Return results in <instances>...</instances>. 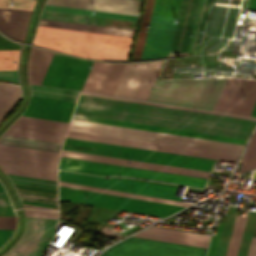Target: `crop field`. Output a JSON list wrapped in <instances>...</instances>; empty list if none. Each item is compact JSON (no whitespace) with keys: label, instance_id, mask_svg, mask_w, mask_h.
Instances as JSON below:
<instances>
[{"label":"crop field","instance_id":"25e5ab78","mask_svg":"<svg viewBox=\"0 0 256 256\" xmlns=\"http://www.w3.org/2000/svg\"><path fill=\"white\" fill-rule=\"evenodd\" d=\"M251 9H255L256 10V0H253V4H252V8Z\"/></svg>","mask_w":256,"mask_h":256},{"label":"crop field","instance_id":"412701ff","mask_svg":"<svg viewBox=\"0 0 256 256\" xmlns=\"http://www.w3.org/2000/svg\"><path fill=\"white\" fill-rule=\"evenodd\" d=\"M72 147L91 148L95 150ZM62 149L210 171L215 160L66 138Z\"/></svg>","mask_w":256,"mask_h":256},{"label":"crop field","instance_id":"bd1437ed","mask_svg":"<svg viewBox=\"0 0 256 256\" xmlns=\"http://www.w3.org/2000/svg\"><path fill=\"white\" fill-rule=\"evenodd\" d=\"M20 50H0V70H17ZM16 61V63H12Z\"/></svg>","mask_w":256,"mask_h":256},{"label":"crop field","instance_id":"d8731c3e","mask_svg":"<svg viewBox=\"0 0 256 256\" xmlns=\"http://www.w3.org/2000/svg\"><path fill=\"white\" fill-rule=\"evenodd\" d=\"M206 249L131 236L100 256H204Z\"/></svg>","mask_w":256,"mask_h":256},{"label":"crop field","instance_id":"8a807250","mask_svg":"<svg viewBox=\"0 0 256 256\" xmlns=\"http://www.w3.org/2000/svg\"><path fill=\"white\" fill-rule=\"evenodd\" d=\"M74 113L244 139L256 123L254 120L84 95L80 96Z\"/></svg>","mask_w":256,"mask_h":256},{"label":"crop field","instance_id":"730fd06b","mask_svg":"<svg viewBox=\"0 0 256 256\" xmlns=\"http://www.w3.org/2000/svg\"><path fill=\"white\" fill-rule=\"evenodd\" d=\"M153 3H154V0L146 1V5H145V9H144V13H143V17H142V21H141V25H140V29H139V33H138V37H137V41H136L132 59H140V57H141V53H142V49H143V45H144V41H145V37H146V33H147L146 28L149 23Z\"/></svg>","mask_w":256,"mask_h":256},{"label":"crop field","instance_id":"d9b57169","mask_svg":"<svg viewBox=\"0 0 256 256\" xmlns=\"http://www.w3.org/2000/svg\"><path fill=\"white\" fill-rule=\"evenodd\" d=\"M141 0H48L46 4L137 15Z\"/></svg>","mask_w":256,"mask_h":256},{"label":"crop field","instance_id":"3316defc","mask_svg":"<svg viewBox=\"0 0 256 256\" xmlns=\"http://www.w3.org/2000/svg\"><path fill=\"white\" fill-rule=\"evenodd\" d=\"M162 62L127 64L113 95L146 100Z\"/></svg>","mask_w":256,"mask_h":256},{"label":"crop field","instance_id":"ae1a2a85","mask_svg":"<svg viewBox=\"0 0 256 256\" xmlns=\"http://www.w3.org/2000/svg\"><path fill=\"white\" fill-rule=\"evenodd\" d=\"M44 9L135 21L137 16L46 5ZM96 12V14H93Z\"/></svg>","mask_w":256,"mask_h":256},{"label":"crop field","instance_id":"c21b1889","mask_svg":"<svg viewBox=\"0 0 256 256\" xmlns=\"http://www.w3.org/2000/svg\"><path fill=\"white\" fill-rule=\"evenodd\" d=\"M0 49H20V45L9 42L2 36H0Z\"/></svg>","mask_w":256,"mask_h":256},{"label":"crop field","instance_id":"750c4746","mask_svg":"<svg viewBox=\"0 0 256 256\" xmlns=\"http://www.w3.org/2000/svg\"><path fill=\"white\" fill-rule=\"evenodd\" d=\"M247 212L245 216H238V215L236 216V220H235V224L232 231L226 256H236L237 254Z\"/></svg>","mask_w":256,"mask_h":256},{"label":"crop field","instance_id":"d3111659","mask_svg":"<svg viewBox=\"0 0 256 256\" xmlns=\"http://www.w3.org/2000/svg\"><path fill=\"white\" fill-rule=\"evenodd\" d=\"M255 221H256V212L249 211L237 256H247Z\"/></svg>","mask_w":256,"mask_h":256},{"label":"crop field","instance_id":"1d83c4d3","mask_svg":"<svg viewBox=\"0 0 256 256\" xmlns=\"http://www.w3.org/2000/svg\"><path fill=\"white\" fill-rule=\"evenodd\" d=\"M11 182L57 189V182L5 174Z\"/></svg>","mask_w":256,"mask_h":256},{"label":"crop field","instance_id":"73cf0c24","mask_svg":"<svg viewBox=\"0 0 256 256\" xmlns=\"http://www.w3.org/2000/svg\"><path fill=\"white\" fill-rule=\"evenodd\" d=\"M123 222L131 223V224H135L136 223V222L126 221V220H123Z\"/></svg>","mask_w":256,"mask_h":256},{"label":"crop field","instance_id":"89e229c0","mask_svg":"<svg viewBox=\"0 0 256 256\" xmlns=\"http://www.w3.org/2000/svg\"><path fill=\"white\" fill-rule=\"evenodd\" d=\"M0 191H4L1 185H0Z\"/></svg>","mask_w":256,"mask_h":256},{"label":"crop field","instance_id":"28ad6ade","mask_svg":"<svg viewBox=\"0 0 256 256\" xmlns=\"http://www.w3.org/2000/svg\"><path fill=\"white\" fill-rule=\"evenodd\" d=\"M92 63L55 53L41 84L80 90Z\"/></svg>","mask_w":256,"mask_h":256},{"label":"crop field","instance_id":"bc2a9ffb","mask_svg":"<svg viewBox=\"0 0 256 256\" xmlns=\"http://www.w3.org/2000/svg\"><path fill=\"white\" fill-rule=\"evenodd\" d=\"M72 118L245 144L246 140L74 114Z\"/></svg>","mask_w":256,"mask_h":256},{"label":"crop field","instance_id":"eef30255","mask_svg":"<svg viewBox=\"0 0 256 256\" xmlns=\"http://www.w3.org/2000/svg\"><path fill=\"white\" fill-rule=\"evenodd\" d=\"M236 209L237 208L233 206H229L228 208V212H227V216L224 223V227H223V231L220 238L216 256H225L231 231H232V227L234 224L235 216H236Z\"/></svg>","mask_w":256,"mask_h":256},{"label":"crop field","instance_id":"c035e120","mask_svg":"<svg viewBox=\"0 0 256 256\" xmlns=\"http://www.w3.org/2000/svg\"><path fill=\"white\" fill-rule=\"evenodd\" d=\"M62 151H65V150H62ZM65 152H72V151H65ZM72 153H78V152H72ZM78 154H85V153H78ZM85 155H92V154H85ZM92 156L105 157V158H112V157L99 156V155H92ZM112 159H119V158H112ZM119 160L132 161V162H139V161H133V160H126V159H119ZM139 163L152 164V165H160V164H153V163H146V162H139ZM160 166H166V165H160ZM166 167H173V166H166ZM173 168H180V167H173ZM180 169L193 170V171H200V170L187 169V168H180ZM200 172L209 173V172H207V171H200Z\"/></svg>","mask_w":256,"mask_h":256},{"label":"crop field","instance_id":"120bbe31","mask_svg":"<svg viewBox=\"0 0 256 256\" xmlns=\"http://www.w3.org/2000/svg\"><path fill=\"white\" fill-rule=\"evenodd\" d=\"M37 0H0V7L32 11ZM13 2L14 5H10Z\"/></svg>","mask_w":256,"mask_h":256},{"label":"crop field","instance_id":"214f88e0","mask_svg":"<svg viewBox=\"0 0 256 256\" xmlns=\"http://www.w3.org/2000/svg\"><path fill=\"white\" fill-rule=\"evenodd\" d=\"M0 8V30L18 40L23 41L31 12L11 10L8 24L4 20Z\"/></svg>","mask_w":256,"mask_h":256},{"label":"crop field","instance_id":"4177f3b9","mask_svg":"<svg viewBox=\"0 0 256 256\" xmlns=\"http://www.w3.org/2000/svg\"><path fill=\"white\" fill-rule=\"evenodd\" d=\"M31 94L67 101H77L79 92L30 85Z\"/></svg>","mask_w":256,"mask_h":256},{"label":"crop field","instance_id":"0bd39190","mask_svg":"<svg viewBox=\"0 0 256 256\" xmlns=\"http://www.w3.org/2000/svg\"><path fill=\"white\" fill-rule=\"evenodd\" d=\"M203 3H204V0H200V4H199L197 16H196V21H195V25H194V29H193V33H192V37H191V41H190V45H189V49H188L187 54H191V52H192V48H193V44H194V40H195V36H196V32H197L199 20H200V16H201V12H202Z\"/></svg>","mask_w":256,"mask_h":256},{"label":"crop field","instance_id":"5866460e","mask_svg":"<svg viewBox=\"0 0 256 256\" xmlns=\"http://www.w3.org/2000/svg\"><path fill=\"white\" fill-rule=\"evenodd\" d=\"M26 216L57 219V212L44 210H24Z\"/></svg>","mask_w":256,"mask_h":256},{"label":"crop field","instance_id":"a9b5d70f","mask_svg":"<svg viewBox=\"0 0 256 256\" xmlns=\"http://www.w3.org/2000/svg\"><path fill=\"white\" fill-rule=\"evenodd\" d=\"M59 185H61V186H67V187H73V188H79V189H85V190H91V191H96V192H102V193H108V194H114V195H120V196H125V197H131V198H137V199L155 201V202H160V203H166V204L184 206V207H187V206L191 205L190 203H185V202H177V201L159 199V198L148 197V196H142V195H136V194H135L136 196H133L134 194H131V193H125V192L107 190V189H102V188L84 186V185L73 184V183H67V182H61V181H59Z\"/></svg>","mask_w":256,"mask_h":256},{"label":"crop field","instance_id":"5142ce71","mask_svg":"<svg viewBox=\"0 0 256 256\" xmlns=\"http://www.w3.org/2000/svg\"><path fill=\"white\" fill-rule=\"evenodd\" d=\"M76 103L41 97H31L25 116L69 122Z\"/></svg>","mask_w":256,"mask_h":256},{"label":"crop field","instance_id":"03da06ac","mask_svg":"<svg viewBox=\"0 0 256 256\" xmlns=\"http://www.w3.org/2000/svg\"><path fill=\"white\" fill-rule=\"evenodd\" d=\"M0 78H6L18 82L17 71H0Z\"/></svg>","mask_w":256,"mask_h":256},{"label":"crop field","instance_id":"34b2d1b8","mask_svg":"<svg viewBox=\"0 0 256 256\" xmlns=\"http://www.w3.org/2000/svg\"><path fill=\"white\" fill-rule=\"evenodd\" d=\"M226 79H156L147 100L212 110Z\"/></svg>","mask_w":256,"mask_h":256},{"label":"crop field","instance_id":"92a150f3","mask_svg":"<svg viewBox=\"0 0 256 256\" xmlns=\"http://www.w3.org/2000/svg\"><path fill=\"white\" fill-rule=\"evenodd\" d=\"M243 96L245 99L242 98ZM255 102L256 80L244 79L229 112L249 116Z\"/></svg>","mask_w":256,"mask_h":256},{"label":"crop field","instance_id":"00972430","mask_svg":"<svg viewBox=\"0 0 256 256\" xmlns=\"http://www.w3.org/2000/svg\"><path fill=\"white\" fill-rule=\"evenodd\" d=\"M41 18L60 20V21H68V22H76V23H84V24H92V25H100V26L104 25L105 19H106V18H101V17H93V16L70 14V13L47 11V10L43 11ZM85 19H88V20L86 21Z\"/></svg>","mask_w":256,"mask_h":256},{"label":"crop field","instance_id":"d23c7cc5","mask_svg":"<svg viewBox=\"0 0 256 256\" xmlns=\"http://www.w3.org/2000/svg\"><path fill=\"white\" fill-rule=\"evenodd\" d=\"M211 174L220 175V176H226V177H229V176H230V175H227V174H221V173H215V172H212Z\"/></svg>","mask_w":256,"mask_h":256},{"label":"crop field","instance_id":"b54c1fbb","mask_svg":"<svg viewBox=\"0 0 256 256\" xmlns=\"http://www.w3.org/2000/svg\"><path fill=\"white\" fill-rule=\"evenodd\" d=\"M12 232H13V230H2V229H0V247L10 237Z\"/></svg>","mask_w":256,"mask_h":256},{"label":"crop field","instance_id":"f4fd0767","mask_svg":"<svg viewBox=\"0 0 256 256\" xmlns=\"http://www.w3.org/2000/svg\"><path fill=\"white\" fill-rule=\"evenodd\" d=\"M59 194L60 199L63 200L160 217L184 208L61 186H59ZM86 196L88 198H85Z\"/></svg>","mask_w":256,"mask_h":256},{"label":"crop field","instance_id":"b80d0937","mask_svg":"<svg viewBox=\"0 0 256 256\" xmlns=\"http://www.w3.org/2000/svg\"><path fill=\"white\" fill-rule=\"evenodd\" d=\"M15 217H0V228L14 229Z\"/></svg>","mask_w":256,"mask_h":256},{"label":"crop field","instance_id":"e52e79f7","mask_svg":"<svg viewBox=\"0 0 256 256\" xmlns=\"http://www.w3.org/2000/svg\"><path fill=\"white\" fill-rule=\"evenodd\" d=\"M59 169L79 171L97 175H127L137 176L184 185L203 188L206 180L191 176L177 175L171 173L157 172L151 170L137 169L131 167L117 166L111 164L97 163L91 161L77 160L61 157Z\"/></svg>","mask_w":256,"mask_h":256},{"label":"crop field","instance_id":"d1516ede","mask_svg":"<svg viewBox=\"0 0 256 256\" xmlns=\"http://www.w3.org/2000/svg\"><path fill=\"white\" fill-rule=\"evenodd\" d=\"M56 222L52 219L26 217L23 236L3 256H41L49 241L53 240Z\"/></svg>","mask_w":256,"mask_h":256},{"label":"crop field","instance_id":"5a996713","mask_svg":"<svg viewBox=\"0 0 256 256\" xmlns=\"http://www.w3.org/2000/svg\"><path fill=\"white\" fill-rule=\"evenodd\" d=\"M119 179L120 178L103 179V177H94L78 173L59 171V180L61 181L97 186L173 200H180L179 197L173 196L177 189V187L175 186L127 179H121L120 181Z\"/></svg>","mask_w":256,"mask_h":256},{"label":"crop field","instance_id":"22f410ed","mask_svg":"<svg viewBox=\"0 0 256 256\" xmlns=\"http://www.w3.org/2000/svg\"><path fill=\"white\" fill-rule=\"evenodd\" d=\"M66 137L103 142V143H110V144H117V145H123V146H130V147H137V148H144V149H151V150H158V151H164V152L192 155V156H198V157L212 158V159L232 162V163H235L237 158V156L235 155L221 154V153H215V152L180 148V147L139 142V141H132V140H126V139L91 135V134L71 132V131L67 132Z\"/></svg>","mask_w":256,"mask_h":256},{"label":"crop field","instance_id":"dd49c442","mask_svg":"<svg viewBox=\"0 0 256 256\" xmlns=\"http://www.w3.org/2000/svg\"><path fill=\"white\" fill-rule=\"evenodd\" d=\"M181 0H155L141 59L167 56Z\"/></svg>","mask_w":256,"mask_h":256},{"label":"crop field","instance_id":"d32e631a","mask_svg":"<svg viewBox=\"0 0 256 256\" xmlns=\"http://www.w3.org/2000/svg\"><path fill=\"white\" fill-rule=\"evenodd\" d=\"M0 215L15 216L6 193H0Z\"/></svg>","mask_w":256,"mask_h":256},{"label":"crop field","instance_id":"733c2abd","mask_svg":"<svg viewBox=\"0 0 256 256\" xmlns=\"http://www.w3.org/2000/svg\"><path fill=\"white\" fill-rule=\"evenodd\" d=\"M3 134L38 139V140L52 141V142H58V143H61L64 138L61 136L40 134V133L13 130V129H8ZM5 135L0 136V144L28 147V148L56 151V152H59L60 145H61L58 143L11 137V136H5Z\"/></svg>","mask_w":256,"mask_h":256},{"label":"crop field","instance_id":"425ffa30","mask_svg":"<svg viewBox=\"0 0 256 256\" xmlns=\"http://www.w3.org/2000/svg\"><path fill=\"white\" fill-rule=\"evenodd\" d=\"M250 116H256V104H255L254 109H253Z\"/></svg>","mask_w":256,"mask_h":256},{"label":"crop field","instance_id":"5d738f31","mask_svg":"<svg viewBox=\"0 0 256 256\" xmlns=\"http://www.w3.org/2000/svg\"><path fill=\"white\" fill-rule=\"evenodd\" d=\"M110 227H107V226H104L102 231H101V234L103 235H107V236H113V237H118V238H121L123 236L121 235H116L114 232H112L110 229Z\"/></svg>","mask_w":256,"mask_h":256},{"label":"crop field","instance_id":"ac0d7876","mask_svg":"<svg viewBox=\"0 0 256 256\" xmlns=\"http://www.w3.org/2000/svg\"><path fill=\"white\" fill-rule=\"evenodd\" d=\"M131 39L38 26L33 44L88 58L126 60Z\"/></svg>","mask_w":256,"mask_h":256},{"label":"crop field","instance_id":"cbeb9de0","mask_svg":"<svg viewBox=\"0 0 256 256\" xmlns=\"http://www.w3.org/2000/svg\"><path fill=\"white\" fill-rule=\"evenodd\" d=\"M199 0H182L168 56L186 54Z\"/></svg>","mask_w":256,"mask_h":256},{"label":"crop field","instance_id":"e1f06a70","mask_svg":"<svg viewBox=\"0 0 256 256\" xmlns=\"http://www.w3.org/2000/svg\"><path fill=\"white\" fill-rule=\"evenodd\" d=\"M222 224L223 223H219L216 236L211 237L210 245H209L208 252H207L206 256H215V252H216V248H217V244H218Z\"/></svg>","mask_w":256,"mask_h":256},{"label":"crop field","instance_id":"028f5c9d","mask_svg":"<svg viewBox=\"0 0 256 256\" xmlns=\"http://www.w3.org/2000/svg\"><path fill=\"white\" fill-rule=\"evenodd\" d=\"M19 97H20V89L18 87L17 90L12 94V96L7 100V102L0 109V120L9 111V109L13 106V104L18 100Z\"/></svg>","mask_w":256,"mask_h":256},{"label":"crop field","instance_id":"dafd665d","mask_svg":"<svg viewBox=\"0 0 256 256\" xmlns=\"http://www.w3.org/2000/svg\"><path fill=\"white\" fill-rule=\"evenodd\" d=\"M39 25L73 29V30H81V31H89V32H97V33H105V34H113V35H121V36H129V37H132V34H133V31H130V30L106 28V27L75 24V23L44 20V19L40 20Z\"/></svg>","mask_w":256,"mask_h":256},{"label":"crop field","instance_id":"4a817a6b","mask_svg":"<svg viewBox=\"0 0 256 256\" xmlns=\"http://www.w3.org/2000/svg\"><path fill=\"white\" fill-rule=\"evenodd\" d=\"M12 184L18 193L21 203L58 208L57 190L15 183ZM25 204L22 205L34 208L55 210L52 208L38 207Z\"/></svg>","mask_w":256,"mask_h":256}]
</instances>
